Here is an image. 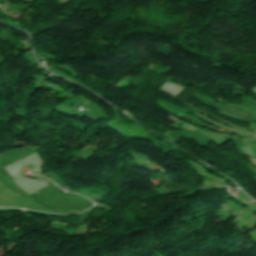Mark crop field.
<instances>
[{"instance_id": "obj_1", "label": "crop field", "mask_w": 256, "mask_h": 256, "mask_svg": "<svg viewBox=\"0 0 256 256\" xmlns=\"http://www.w3.org/2000/svg\"><path fill=\"white\" fill-rule=\"evenodd\" d=\"M222 111H225V112L237 115V116H241V117H244V118L249 114V112H246V111H243L241 109H238V108H235V107H232V106H228V105H225L222 108Z\"/></svg>"}, {"instance_id": "obj_2", "label": "crop field", "mask_w": 256, "mask_h": 256, "mask_svg": "<svg viewBox=\"0 0 256 256\" xmlns=\"http://www.w3.org/2000/svg\"><path fill=\"white\" fill-rule=\"evenodd\" d=\"M245 121H247V122H256V116L248 117L247 119H245Z\"/></svg>"}]
</instances>
